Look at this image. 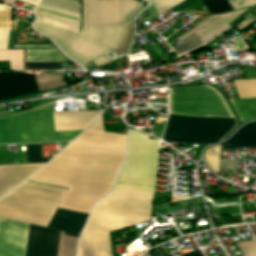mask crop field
I'll list each match as a JSON object with an SVG mask.
<instances>
[{"label":"crop field","mask_w":256,"mask_h":256,"mask_svg":"<svg viewBox=\"0 0 256 256\" xmlns=\"http://www.w3.org/2000/svg\"><path fill=\"white\" fill-rule=\"evenodd\" d=\"M126 135L103 130L102 116L30 179L69 188L59 207L90 213L123 164Z\"/></svg>","instance_id":"8a807250"},{"label":"crop field","mask_w":256,"mask_h":256,"mask_svg":"<svg viewBox=\"0 0 256 256\" xmlns=\"http://www.w3.org/2000/svg\"><path fill=\"white\" fill-rule=\"evenodd\" d=\"M143 6L134 0H83L81 35L34 24V28L48 36L59 49L80 66L107 52L98 43V27L131 25V18Z\"/></svg>","instance_id":"ac0d7876"},{"label":"crop field","mask_w":256,"mask_h":256,"mask_svg":"<svg viewBox=\"0 0 256 256\" xmlns=\"http://www.w3.org/2000/svg\"><path fill=\"white\" fill-rule=\"evenodd\" d=\"M153 193L112 190L96 203L77 256H112L109 232L150 220Z\"/></svg>","instance_id":"34b2d1b8"},{"label":"crop field","mask_w":256,"mask_h":256,"mask_svg":"<svg viewBox=\"0 0 256 256\" xmlns=\"http://www.w3.org/2000/svg\"><path fill=\"white\" fill-rule=\"evenodd\" d=\"M65 192L25 181L0 198V217L47 227Z\"/></svg>","instance_id":"412701ff"},{"label":"crop field","mask_w":256,"mask_h":256,"mask_svg":"<svg viewBox=\"0 0 256 256\" xmlns=\"http://www.w3.org/2000/svg\"><path fill=\"white\" fill-rule=\"evenodd\" d=\"M81 131L83 130L54 132L51 104L0 118V144L67 141Z\"/></svg>","instance_id":"f4fd0767"},{"label":"crop field","mask_w":256,"mask_h":256,"mask_svg":"<svg viewBox=\"0 0 256 256\" xmlns=\"http://www.w3.org/2000/svg\"><path fill=\"white\" fill-rule=\"evenodd\" d=\"M157 146L158 141L129 130L126 162L114 189L153 192Z\"/></svg>","instance_id":"dd49c442"},{"label":"crop field","mask_w":256,"mask_h":256,"mask_svg":"<svg viewBox=\"0 0 256 256\" xmlns=\"http://www.w3.org/2000/svg\"><path fill=\"white\" fill-rule=\"evenodd\" d=\"M169 112L174 115L230 117L224 98L208 85L168 88Z\"/></svg>","instance_id":"e52e79f7"},{"label":"crop field","mask_w":256,"mask_h":256,"mask_svg":"<svg viewBox=\"0 0 256 256\" xmlns=\"http://www.w3.org/2000/svg\"><path fill=\"white\" fill-rule=\"evenodd\" d=\"M235 125V119L169 115L162 139L187 143H216Z\"/></svg>","instance_id":"d8731c3e"},{"label":"crop field","mask_w":256,"mask_h":256,"mask_svg":"<svg viewBox=\"0 0 256 256\" xmlns=\"http://www.w3.org/2000/svg\"><path fill=\"white\" fill-rule=\"evenodd\" d=\"M28 224L0 218V256H24Z\"/></svg>","instance_id":"5a996713"},{"label":"crop field","mask_w":256,"mask_h":256,"mask_svg":"<svg viewBox=\"0 0 256 256\" xmlns=\"http://www.w3.org/2000/svg\"><path fill=\"white\" fill-rule=\"evenodd\" d=\"M59 234L29 224L25 256H56Z\"/></svg>","instance_id":"3316defc"},{"label":"crop field","mask_w":256,"mask_h":256,"mask_svg":"<svg viewBox=\"0 0 256 256\" xmlns=\"http://www.w3.org/2000/svg\"><path fill=\"white\" fill-rule=\"evenodd\" d=\"M33 12L37 16L36 23L80 34L81 15L40 4Z\"/></svg>","instance_id":"28ad6ade"},{"label":"crop field","mask_w":256,"mask_h":256,"mask_svg":"<svg viewBox=\"0 0 256 256\" xmlns=\"http://www.w3.org/2000/svg\"><path fill=\"white\" fill-rule=\"evenodd\" d=\"M245 10L242 9L236 12L210 16L183 34L179 39L182 40L195 32L201 38L200 41L205 44L230 29L227 26L229 22Z\"/></svg>","instance_id":"d1516ede"},{"label":"crop field","mask_w":256,"mask_h":256,"mask_svg":"<svg viewBox=\"0 0 256 256\" xmlns=\"http://www.w3.org/2000/svg\"><path fill=\"white\" fill-rule=\"evenodd\" d=\"M37 91L32 74L0 72V100Z\"/></svg>","instance_id":"22f410ed"},{"label":"crop field","mask_w":256,"mask_h":256,"mask_svg":"<svg viewBox=\"0 0 256 256\" xmlns=\"http://www.w3.org/2000/svg\"><path fill=\"white\" fill-rule=\"evenodd\" d=\"M87 214L58 208L48 227L63 235L78 237Z\"/></svg>","instance_id":"cbeb9de0"},{"label":"crop field","mask_w":256,"mask_h":256,"mask_svg":"<svg viewBox=\"0 0 256 256\" xmlns=\"http://www.w3.org/2000/svg\"><path fill=\"white\" fill-rule=\"evenodd\" d=\"M44 164L0 165V196L30 176Z\"/></svg>","instance_id":"5142ce71"},{"label":"crop field","mask_w":256,"mask_h":256,"mask_svg":"<svg viewBox=\"0 0 256 256\" xmlns=\"http://www.w3.org/2000/svg\"><path fill=\"white\" fill-rule=\"evenodd\" d=\"M102 111L53 113L55 131L87 128Z\"/></svg>","instance_id":"d9b57169"},{"label":"crop field","mask_w":256,"mask_h":256,"mask_svg":"<svg viewBox=\"0 0 256 256\" xmlns=\"http://www.w3.org/2000/svg\"><path fill=\"white\" fill-rule=\"evenodd\" d=\"M130 34L131 26L99 28V43L122 55Z\"/></svg>","instance_id":"733c2abd"},{"label":"crop field","mask_w":256,"mask_h":256,"mask_svg":"<svg viewBox=\"0 0 256 256\" xmlns=\"http://www.w3.org/2000/svg\"><path fill=\"white\" fill-rule=\"evenodd\" d=\"M24 43H51L52 44L51 41L24 42ZM15 44H20V43H14V45ZM51 44H21V45H15L14 48H19V47H53L54 45L52 44L53 45L52 46ZM19 49H24V63H25V48H19ZM55 49L57 50L56 47H55ZM55 49H26V55H60L61 53L57 50L60 53L59 54ZM62 56H26V62H68V61H70L65 56H63V57H65L68 61L66 59H64Z\"/></svg>","instance_id":"4a817a6b"},{"label":"crop field","mask_w":256,"mask_h":256,"mask_svg":"<svg viewBox=\"0 0 256 256\" xmlns=\"http://www.w3.org/2000/svg\"><path fill=\"white\" fill-rule=\"evenodd\" d=\"M237 147H256V122L243 126L223 143V148Z\"/></svg>","instance_id":"bc2a9ffb"},{"label":"crop field","mask_w":256,"mask_h":256,"mask_svg":"<svg viewBox=\"0 0 256 256\" xmlns=\"http://www.w3.org/2000/svg\"><path fill=\"white\" fill-rule=\"evenodd\" d=\"M240 121L256 118V99H230Z\"/></svg>","instance_id":"214f88e0"},{"label":"crop field","mask_w":256,"mask_h":256,"mask_svg":"<svg viewBox=\"0 0 256 256\" xmlns=\"http://www.w3.org/2000/svg\"><path fill=\"white\" fill-rule=\"evenodd\" d=\"M34 76L36 78L39 91L66 85L61 74L56 75V73H50Z\"/></svg>","instance_id":"92a150f3"},{"label":"crop field","mask_w":256,"mask_h":256,"mask_svg":"<svg viewBox=\"0 0 256 256\" xmlns=\"http://www.w3.org/2000/svg\"><path fill=\"white\" fill-rule=\"evenodd\" d=\"M233 84L240 98L256 97V79L235 80Z\"/></svg>","instance_id":"dafd665d"},{"label":"crop field","mask_w":256,"mask_h":256,"mask_svg":"<svg viewBox=\"0 0 256 256\" xmlns=\"http://www.w3.org/2000/svg\"><path fill=\"white\" fill-rule=\"evenodd\" d=\"M78 238L60 234L58 256H75Z\"/></svg>","instance_id":"00972430"},{"label":"crop field","mask_w":256,"mask_h":256,"mask_svg":"<svg viewBox=\"0 0 256 256\" xmlns=\"http://www.w3.org/2000/svg\"><path fill=\"white\" fill-rule=\"evenodd\" d=\"M220 147L221 145H216L205 151V160L208 163L207 166L213 172H218Z\"/></svg>","instance_id":"a9b5d70f"},{"label":"crop field","mask_w":256,"mask_h":256,"mask_svg":"<svg viewBox=\"0 0 256 256\" xmlns=\"http://www.w3.org/2000/svg\"><path fill=\"white\" fill-rule=\"evenodd\" d=\"M198 39L199 37L194 33L173 48L178 54L184 53L192 48L201 45L202 43Z\"/></svg>","instance_id":"4177f3b9"},{"label":"crop field","mask_w":256,"mask_h":256,"mask_svg":"<svg viewBox=\"0 0 256 256\" xmlns=\"http://www.w3.org/2000/svg\"><path fill=\"white\" fill-rule=\"evenodd\" d=\"M40 3L79 13V3L71 0H40Z\"/></svg>","instance_id":"730fd06b"},{"label":"crop field","mask_w":256,"mask_h":256,"mask_svg":"<svg viewBox=\"0 0 256 256\" xmlns=\"http://www.w3.org/2000/svg\"><path fill=\"white\" fill-rule=\"evenodd\" d=\"M203 1L206 4L209 11L211 12V14L223 13L225 11L233 10L227 0H203Z\"/></svg>","instance_id":"eef30255"},{"label":"crop field","mask_w":256,"mask_h":256,"mask_svg":"<svg viewBox=\"0 0 256 256\" xmlns=\"http://www.w3.org/2000/svg\"><path fill=\"white\" fill-rule=\"evenodd\" d=\"M183 1L184 0H155L154 7L160 15Z\"/></svg>","instance_id":"ae1a2a85"},{"label":"crop field","mask_w":256,"mask_h":256,"mask_svg":"<svg viewBox=\"0 0 256 256\" xmlns=\"http://www.w3.org/2000/svg\"><path fill=\"white\" fill-rule=\"evenodd\" d=\"M236 245L239 247L244 256H256V239L245 242H237Z\"/></svg>","instance_id":"d3111659"},{"label":"crop field","mask_w":256,"mask_h":256,"mask_svg":"<svg viewBox=\"0 0 256 256\" xmlns=\"http://www.w3.org/2000/svg\"><path fill=\"white\" fill-rule=\"evenodd\" d=\"M28 163L46 162L50 158H40L38 145H27Z\"/></svg>","instance_id":"750c4746"},{"label":"crop field","mask_w":256,"mask_h":256,"mask_svg":"<svg viewBox=\"0 0 256 256\" xmlns=\"http://www.w3.org/2000/svg\"><path fill=\"white\" fill-rule=\"evenodd\" d=\"M0 30H12V28H0ZM12 31H0V49H9Z\"/></svg>","instance_id":"bd1437ed"},{"label":"crop field","mask_w":256,"mask_h":256,"mask_svg":"<svg viewBox=\"0 0 256 256\" xmlns=\"http://www.w3.org/2000/svg\"><path fill=\"white\" fill-rule=\"evenodd\" d=\"M25 70L29 69H51L61 70L60 64H24Z\"/></svg>","instance_id":"1d83c4d3"},{"label":"crop field","mask_w":256,"mask_h":256,"mask_svg":"<svg viewBox=\"0 0 256 256\" xmlns=\"http://www.w3.org/2000/svg\"><path fill=\"white\" fill-rule=\"evenodd\" d=\"M9 15L10 11H0V27H10Z\"/></svg>","instance_id":"120bbe31"},{"label":"crop field","mask_w":256,"mask_h":256,"mask_svg":"<svg viewBox=\"0 0 256 256\" xmlns=\"http://www.w3.org/2000/svg\"><path fill=\"white\" fill-rule=\"evenodd\" d=\"M93 62H94V64L96 65V66H99V65H105V64H108V63H110V62H112V61H110L109 59H107L105 56H100V57H98V58H96V59H94V60H92Z\"/></svg>","instance_id":"d32e631a"},{"label":"crop field","mask_w":256,"mask_h":256,"mask_svg":"<svg viewBox=\"0 0 256 256\" xmlns=\"http://www.w3.org/2000/svg\"><path fill=\"white\" fill-rule=\"evenodd\" d=\"M196 0H186L185 2H183L182 4L172 8L171 10H175V11H182L183 9H185L187 6H189L190 4H192L193 2H195Z\"/></svg>","instance_id":"5866460e"},{"label":"crop field","mask_w":256,"mask_h":256,"mask_svg":"<svg viewBox=\"0 0 256 256\" xmlns=\"http://www.w3.org/2000/svg\"><path fill=\"white\" fill-rule=\"evenodd\" d=\"M183 255L184 256H203L200 251L189 252V253H185Z\"/></svg>","instance_id":"028f5c9d"},{"label":"crop field","mask_w":256,"mask_h":256,"mask_svg":"<svg viewBox=\"0 0 256 256\" xmlns=\"http://www.w3.org/2000/svg\"><path fill=\"white\" fill-rule=\"evenodd\" d=\"M3 1H5V2H7L9 4H11V2H12V0H3ZM25 1L32 2V3L36 4L38 0H25Z\"/></svg>","instance_id":"e1f06a70"},{"label":"crop field","mask_w":256,"mask_h":256,"mask_svg":"<svg viewBox=\"0 0 256 256\" xmlns=\"http://www.w3.org/2000/svg\"><path fill=\"white\" fill-rule=\"evenodd\" d=\"M249 6L256 5V0H246Z\"/></svg>","instance_id":"0bd39190"},{"label":"crop field","mask_w":256,"mask_h":256,"mask_svg":"<svg viewBox=\"0 0 256 256\" xmlns=\"http://www.w3.org/2000/svg\"><path fill=\"white\" fill-rule=\"evenodd\" d=\"M0 10H10V8L0 4Z\"/></svg>","instance_id":"b80d0937"},{"label":"crop field","mask_w":256,"mask_h":256,"mask_svg":"<svg viewBox=\"0 0 256 256\" xmlns=\"http://www.w3.org/2000/svg\"><path fill=\"white\" fill-rule=\"evenodd\" d=\"M144 1H146V2H148V3L152 2V0H144Z\"/></svg>","instance_id":"c035e120"},{"label":"crop field","mask_w":256,"mask_h":256,"mask_svg":"<svg viewBox=\"0 0 256 256\" xmlns=\"http://www.w3.org/2000/svg\"><path fill=\"white\" fill-rule=\"evenodd\" d=\"M162 121L156 120V123H161Z\"/></svg>","instance_id":"c21b1889"},{"label":"crop field","mask_w":256,"mask_h":256,"mask_svg":"<svg viewBox=\"0 0 256 256\" xmlns=\"http://www.w3.org/2000/svg\"><path fill=\"white\" fill-rule=\"evenodd\" d=\"M74 1H78L79 2V0H74Z\"/></svg>","instance_id":"03da06ac"},{"label":"crop field","mask_w":256,"mask_h":256,"mask_svg":"<svg viewBox=\"0 0 256 256\" xmlns=\"http://www.w3.org/2000/svg\"><path fill=\"white\" fill-rule=\"evenodd\" d=\"M149 139H152V138H149Z\"/></svg>","instance_id":"b54c1fbb"}]
</instances>
